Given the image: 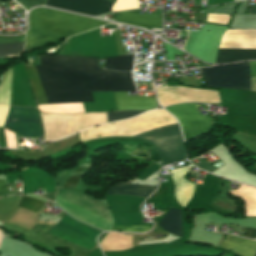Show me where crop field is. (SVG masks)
<instances>
[{"label":"crop field","mask_w":256,"mask_h":256,"mask_svg":"<svg viewBox=\"0 0 256 256\" xmlns=\"http://www.w3.org/2000/svg\"><path fill=\"white\" fill-rule=\"evenodd\" d=\"M115 21L142 28H162L161 14H137L129 11H123L117 12Z\"/></svg>","instance_id":"crop-field-13"},{"label":"crop field","mask_w":256,"mask_h":256,"mask_svg":"<svg viewBox=\"0 0 256 256\" xmlns=\"http://www.w3.org/2000/svg\"><path fill=\"white\" fill-rule=\"evenodd\" d=\"M251 77H256V62H250Z\"/></svg>","instance_id":"crop-field-31"},{"label":"crop field","mask_w":256,"mask_h":256,"mask_svg":"<svg viewBox=\"0 0 256 256\" xmlns=\"http://www.w3.org/2000/svg\"><path fill=\"white\" fill-rule=\"evenodd\" d=\"M57 194L110 220V216L108 213V208L105 204L98 202L84 194H81L76 191L60 189L58 188ZM57 195L56 202L67 208L74 217L79 218L87 223H90L94 226H97L103 230L110 228L111 223L110 221L60 197Z\"/></svg>","instance_id":"crop-field-3"},{"label":"crop field","mask_w":256,"mask_h":256,"mask_svg":"<svg viewBox=\"0 0 256 256\" xmlns=\"http://www.w3.org/2000/svg\"><path fill=\"white\" fill-rule=\"evenodd\" d=\"M36 66L49 104L93 102L90 91H136L131 72L105 71L97 58L39 56Z\"/></svg>","instance_id":"crop-field-1"},{"label":"crop field","mask_w":256,"mask_h":256,"mask_svg":"<svg viewBox=\"0 0 256 256\" xmlns=\"http://www.w3.org/2000/svg\"><path fill=\"white\" fill-rule=\"evenodd\" d=\"M152 190L153 188L148 186L116 183L109 189L107 194H123L147 198Z\"/></svg>","instance_id":"crop-field-18"},{"label":"crop field","mask_w":256,"mask_h":256,"mask_svg":"<svg viewBox=\"0 0 256 256\" xmlns=\"http://www.w3.org/2000/svg\"><path fill=\"white\" fill-rule=\"evenodd\" d=\"M6 124L17 130L23 137L39 138L42 136L39 115L33 108L11 107Z\"/></svg>","instance_id":"crop-field-9"},{"label":"crop field","mask_w":256,"mask_h":256,"mask_svg":"<svg viewBox=\"0 0 256 256\" xmlns=\"http://www.w3.org/2000/svg\"><path fill=\"white\" fill-rule=\"evenodd\" d=\"M219 48L256 49V30H227Z\"/></svg>","instance_id":"crop-field-11"},{"label":"crop field","mask_w":256,"mask_h":256,"mask_svg":"<svg viewBox=\"0 0 256 256\" xmlns=\"http://www.w3.org/2000/svg\"><path fill=\"white\" fill-rule=\"evenodd\" d=\"M134 55L106 58V69L131 71Z\"/></svg>","instance_id":"crop-field-22"},{"label":"crop field","mask_w":256,"mask_h":256,"mask_svg":"<svg viewBox=\"0 0 256 256\" xmlns=\"http://www.w3.org/2000/svg\"><path fill=\"white\" fill-rule=\"evenodd\" d=\"M251 90L256 91V78H251Z\"/></svg>","instance_id":"crop-field-32"},{"label":"crop field","mask_w":256,"mask_h":256,"mask_svg":"<svg viewBox=\"0 0 256 256\" xmlns=\"http://www.w3.org/2000/svg\"><path fill=\"white\" fill-rule=\"evenodd\" d=\"M256 59V50L219 49L216 63Z\"/></svg>","instance_id":"crop-field-17"},{"label":"crop field","mask_w":256,"mask_h":256,"mask_svg":"<svg viewBox=\"0 0 256 256\" xmlns=\"http://www.w3.org/2000/svg\"><path fill=\"white\" fill-rule=\"evenodd\" d=\"M108 0H47V6L97 16L108 13L112 6Z\"/></svg>","instance_id":"crop-field-10"},{"label":"crop field","mask_w":256,"mask_h":256,"mask_svg":"<svg viewBox=\"0 0 256 256\" xmlns=\"http://www.w3.org/2000/svg\"><path fill=\"white\" fill-rule=\"evenodd\" d=\"M209 87L250 90L249 62L200 68Z\"/></svg>","instance_id":"crop-field-5"},{"label":"crop field","mask_w":256,"mask_h":256,"mask_svg":"<svg viewBox=\"0 0 256 256\" xmlns=\"http://www.w3.org/2000/svg\"><path fill=\"white\" fill-rule=\"evenodd\" d=\"M249 14H256V6L251 7Z\"/></svg>","instance_id":"crop-field-33"},{"label":"crop field","mask_w":256,"mask_h":256,"mask_svg":"<svg viewBox=\"0 0 256 256\" xmlns=\"http://www.w3.org/2000/svg\"><path fill=\"white\" fill-rule=\"evenodd\" d=\"M132 138L144 140L153 145L160 153L163 165L186 158L185 146L178 123L163 126Z\"/></svg>","instance_id":"crop-field-4"},{"label":"crop field","mask_w":256,"mask_h":256,"mask_svg":"<svg viewBox=\"0 0 256 256\" xmlns=\"http://www.w3.org/2000/svg\"><path fill=\"white\" fill-rule=\"evenodd\" d=\"M57 225L62 226L71 231H74L76 233H79L81 235H84L93 240H94L95 236L100 233L99 231H97L95 229H92L80 222H77V221L69 218L67 215H64L62 220L59 221V223ZM57 225L53 226V228L48 233L56 235L58 237H61L67 241L73 242L75 244H78V245L88 248L90 250H92V248L96 245L95 241L88 239L84 236H81L79 234H76L74 232H71L69 230H66Z\"/></svg>","instance_id":"crop-field-8"},{"label":"crop field","mask_w":256,"mask_h":256,"mask_svg":"<svg viewBox=\"0 0 256 256\" xmlns=\"http://www.w3.org/2000/svg\"><path fill=\"white\" fill-rule=\"evenodd\" d=\"M102 251H122L132 248V235L108 233L99 243Z\"/></svg>","instance_id":"crop-field-16"},{"label":"crop field","mask_w":256,"mask_h":256,"mask_svg":"<svg viewBox=\"0 0 256 256\" xmlns=\"http://www.w3.org/2000/svg\"><path fill=\"white\" fill-rule=\"evenodd\" d=\"M230 16L220 14H208L207 22H214L220 24H227Z\"/></svg>","instance_id":"crop-field-29"},{"label":"crop field","mask_w":256,"mask_h":256,"mask_svg":"<svg viewBox=\"0 0 256 256\" xmlns=\"http://www.w3.org/2000/svg\"><path fill=\"white\" fill-rule=\"evenodd\" d=\"M165 109L179 120L186 141L212 130V118L200 115L193 103L179 104Z\"/></svg>","instance_id":"crop-field-6"},{"label":"crop field","mask_w":256,"mask_h":256,"mask_svg":"<svg viewBox=\"0 0 256 256\" xmlns=\"http://www.w3.org/2000/svg\"><path fill=\"white\" fill-rule=\"evenodd\" d=\"M188 171L189 170L186 167L169 171L172 174L171 177L175 184L176 199L178 203L183 207H185V205L192 198L195 186L194 184L182 178Z\"/></svg>","instance_id":"crop-field-14"},{"label":"crop field","mask_w":256,"mask_h":256,"mask_svg":"<svg viewBox=\"0 0 256 256\" xmlns=\"http://www.w3.org/2000/svg\"><path fill=\"white\" fill-rule=\"evenodd\" d=\"M45 202L38 200V199H32L29 197L23 198L21 204L19 205L22 208L29 209L33 212H38L40 208L44 205Z\"/></svg>","instance_id":"crop-field-26"},{"label":"crop field","mask_w":256,"mask_h":256,"mask_svg":"<svg viewBox=\"0 0 256 256\" xmlns=\"http://www.w3.org/2000/svg\"><path fill=\"white\" fill-rule=\"evenodd\" d=\"M117 111L152 110L158 103L155 97L127 96V92H114Z\"/></svg>","instance_id":"crop-field-12"},{"label":"crop field","mask_w":256,"mask_h":256,"mask_svg":"<svg viewBox=\"0 0 256 256\" xmlns=\"http://www.w3.org/2000/svg\"><path fill=\"white\" fill-rule=\"evenodd\" d=\"M73 117L76 132L107 122L105 113L75 114Z\"/></svg>","instance_id":"crop-field-20"},{"label":"crop field","mask_w":256,"mask_h":256,"mask_svg":"<svg viewBox=\"0 0 256 256\" xmlns=\"http://www.w3.org/2000/svg\"><path fill=\"white\" fill-rule=\"evenodd\" d=\"M24 42L0 44V58L19 57L23 50Z\"/></svg>","instance_id":"crop-field-24"},{"label":"crop field","mask_w":256,"mask_h":256,"mask_svg":"<svg viewBox=\"0 0 256 256\" xmlns=\"http://www.w3.org/2000/svg\"><path fill=\"white\" fill-rule=\"evenodd\" d=\"M92 164L82 165L77 171L72 174L66 181L64 188L73 189L77 183L83 178V176L88 172Z\"/></svg>","instance_id":"crop-field-25"},{"label":"crop field","mask_w":256,"mask_h":256,"mask_svg":"<svg viewBox=\"0 0 256 256\" xmlns=\"http://www.w3.org/2000/svg\"><path fill=\"white\" fill-rule=\"evenodd\" d=\"M231 193L246 201V216H256V189L241 185L239 190Z\"/></svg>","instance_id":"crop-field-21"},{"label":"crop field","mask_w":256,"mask_h":256,"mask_svg":"<svg viewBox=\"0 0 256 256\" xmlns=\"http://www.w3.org/2000/svg\"><path fill=\"white\" fill-rule=\"evenodd\" d=\"M152 226H112L111 230L129 231V232H145L151 229Z\"/></svg>","instance_id":"crop-field-28"},{"label":"crop field","mask_w":256,"mask_h":256,"mask_svg":"<svg viewBox=\"0 0 256 256\" xmlns=\"http://www.w3.org/2000/svg\"><path fill=\"white\" fill-rule=\"evenodd\" d=\"M30 27L26 32V47L63 39L72 34L100 27L107 22L44 8L29 14Z\"/></svg>","instance_id":"crop-field-2"},{"label":"crop field","mask_w":256,"mask_h":256,"mask_svg":"<svg viewBox=\"0 0 256 256\" xmlns=\"http://www.w3.org/2000/svg\"><path fill=\"white\" fill-rule=\"evenodd\" d=\"M164 230L177 236L182 235V216L181 212L170 208L161 223L159 224Z\"/></svg>","instance_id":"crop-field-19"},{"label":"crop field","mask_w":256,"mask_h":256,"mask_svg":"<svg viewBox=\"0 0 256 256\" xmlns=\"http://www.w3.org/2000/svg\"><path fill=\"white\" fill-rule=\"evenodd\" d=\"M157 92L160 104L164 107L180 102L221 103L217 91L185 87H161L157 88Z\"/></svg>","instance_id":"crop-field-7"},{"label":"crop field","mask_w":256,"mask_h":256,"mask_svg":"<svg viewBox=\"0 0 256 256\" xmlns=\"http://www.w3.org/2000/svg\"><path fill=\"white\" fill-rule=\"evenodd\" d=\"M221 247L233 250L241 256H253L256 251V241L228 235L227 239L221 244Z\"/></svg>","instance_id":"crop-field-15"},{"label":"crop field","mask_w":256,"mask_h":256,"mask_svg":"<svg viewBox=\"0 0 256 256\" xmlns=\"http://www.w3.org/2000/svg\"><path fill=\"white\" fill-rule=\"evenodd\" d=\"M7 195V187L5 179H0V196Z\"/></svg>","instance_id":"crop-field-30"},{"label":"crop field","mask_w":256,"mask_h":256,"mask_svg":"<svg viewBox=\"0 0 256 256\" xmlns=\"http://www.w3.org/2000/svg\"><path fill=\"white\" fill-rule=\"evenodd\" d=\"M38 105L48 104L33 66L25 65Z\"/></svg>","instance_id":"crop-field-23"},{"label":"crop field","mask_w":256,"mask_h":256,"mask_svg":"<svg viewBox=\"0 0 256 256\" xmlns=\"http://www.w3.org/2000/svg\"><path fill=\"white\" fill-rule=\"evenodd\" d=\"M144 111L110 112L107 113L108 122L134 117Z\"/></svg>","instance_id":"crop-field-27"}]
</instances>
